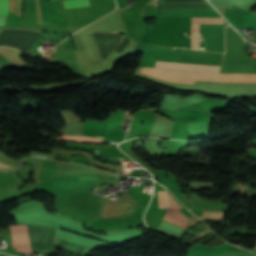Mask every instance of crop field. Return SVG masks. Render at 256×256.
Here are the masks:
<instances>
[{
	"instance_id": "obj_2",
	"label": "crop field",
	"mask_w": 256,
	"mask_h": 256,
	"mask_svg": "<svg viewBox=\"0 0 256 256\" xmlns=\"http://www.w3.org/2000/svg\"><path fill=\"white\" fill-rule=\"evenodd\" d=\"M13 239V247L17 251L32 254L27 225L9 226Z\"/></svg>"
},
{
	"instance_id": "obj_1",
	"label": "crop field",
	"mask_w": 256,
	"mask_h": 256,
	"mask_svg": "<svg viewBox=\"0 0 256 256\" xmlns=\"http://www.w3.org/2000/svg\"><path fill=\"white\" fill-rule=\"evenodd\" d=\"M141 73L169 82L194 84L197 72L173 71L157 68H142ZM197 80L256 83V75L213 74L198 72Z\"/></svg>"
},
{
	"instance_id": "obj_5",
	"label": "crop field",
	"mask_w": 256,
	"mask_h": 256,
	"mask_svg": "<svg viewBox=\"0 0 256 256\" xmlns=\"http://www.w3.org/2000/svg\"><path fill=\"white\" fill-rule=\"evenodd\" d=\"M79 35H80V37L83 41V44L86 48V52L89 57V60L90 61L103 60L98 51V48L96 46L93 34L92 33H82Z\"/></svg>"
},
{
	"instance_id": "obj_10",
	"label": "crop field",
	"mask_w": 256,
	"mask_h": 256,
	"mask_svg": "<svg viewBox=\"0 0 256 256\" xmlns=\"http://www.w3.org/2000/svg\"><path fill=\"white\" fill-rule=\"evenodd\" d=\"M83 123L68 125V134L82 135Z\"/></svg>"
},
{
	"instance_id": "obj_11",
	"label": "crop field",
	"mask_w": 256,
	"mask_h": 256,
	"mask_svg": "<svg viewBox=\"0 0 256 256\" xmlns=\"http://www.w3.org/2000/svg\"><path fill=\"white\" fill-rule=\"evenodd\" d=\"M223 218H224V212H206V211H204L203 218H201V219H223Z\"/></svg>"
},
{
	"instance_id": "obj_7",
	"label": "crop field",
	"mask_w": 256,
	"mask_h": 256,
	"mask_svg": "<svg viewBox=\"0 0 256 256\" xmlns=\"http://www.w3.org/2000/svg\"><path fill=\"white\" fill-rule=\"evenodd\" d=\"M198 47H199V24H192L191 48L198 49Z\"/></svg>"
},
{
	"instance_id": "obj_3",
	"label": "crop field",
	"mask_w": 256,
	"mask_h": 256,
	"mask_svg": "<svg viewBox=\"0 0 256 256\" xmlns=\"http://www.w3.org/2000/svg\"><path fill=\"white\" fill-rule=\"evenodd\" d=\"M155 67L193 70V71H208V72H218V69H219V67H215V66L172 63V62H162V61H156Z\"/></svg>"
},
{
	"instance_id": "obj_9",
	"label": "crop field",
	"mask_w": 256,
	"mask_h": 256,
	"mask_svg": "<svg viewBox=\"0 0 256 256\" xmlns=\"http://www.w3.org/2000/svg\"><path fill=\"white\" fill-rule=\"evenodd\" d=\"M159 208H168L169 199L167 191H158Z\"/></svg>"
},
{
	"instance_id": "obj_8",
	"label": "crop field",
	"mask_w": 256,
	"mask_h": 256,
	"mask_svg": "<svg viewBox=\"0 0 256 256\" xmlns=\"http://www.w3.org/2000/svg\"><path fill=\"white\" fill-rule=\"evenodd\" d=\"M63 3L65 8L89 6L88 0H67Z\"/></svg>"
},
{
	"instance_id": "obj_4",
	"label": "crop field",
	"mask_w": 256,
	"mask_h": 256,
	"mask_svg": "<svg viewBox=\"0 0 256 256\" xmlns=\"http://www.w3.org/2000/svg\"><path fill=\"white\" fill-rule=\"evenodd\" d=\"M171 197H170V201H171L170 207L168 208L163 218L185 228L189 218L186 217L182 212L178 210L181 207L175 202L176 200L172 197L175 200L174 201Z\"/></svg>"
},
{
	"instance_id": "obj_14",
	"label": "crop field",
	"mask_w": 256,
	"mask_h": 256,
	"mask_svg": "<svg viewBox=\"0 0 256 256\" xmlns=\"http://www.w3.org/2000/svg\"><path fill=\"white\" fill-rule=\"evenodd\" d=\"M80 180L100 182L101 178L90 177V176H80Z\"/></svg>"
},
{
	"instance_id": "obj_12",
	"label": "crop field",
	"mask_w": 256,
	"mask_h": 256,
	"mask_svg": "<svg viewBox=\"0 0 256 256\" xmlns=\"http://www.w3.org/2000/svg\"><path fill=\"white\" fill-rule=\"evenodd\" d=\"M9 11V0H0V15L6 16Z\"/></svg>"
},
{
	"instance_id": "obj_13",
	"label": "crop field",
	"mask_w": 256,
	"mask_h": 256,
	"mask_svg": "<svg viewBox=\"0 0 256 256\" xmlns=\"http://www.w3.org/2000/svg\"><path fill=\"white\" fill-rule=\"evenodd\" d=\"M71 37L73 39V42H74L75 47H76L77 50L84 49L83 44H82L78 34L71 35Z\"/></svg>"
},
{
	"instance_id": "obj_15",
	"label": "crop field",
	"mask_w": 256,
	"mask_h": 256,
	"mask_svg": "<svg viewBox=\"0 0 256 256\" xmlns=\"http://www.w3.org/2000/svg\"><path fill=\"white\" fill-rule=\"evenodd\" d=\"M8 167H12V166L0 162V168H8Z\"/></svg>"
},
{
	"instance_id": "obj_6",
	"label": "crop field",
	"mask_w": 256,
	"mask_h": 256,
	"mask_svg": "<svg viewBox=\"0 0 256 256\" xmlns=\"http://www.w3.org/2000/svg\"><path fill=\"white\" fill-rule=\"evenodd\" d=\"M192 23L224 24L222 18L192 17Z\"/></svg>"
}]
</instances>
